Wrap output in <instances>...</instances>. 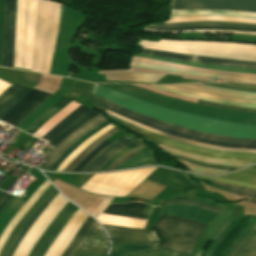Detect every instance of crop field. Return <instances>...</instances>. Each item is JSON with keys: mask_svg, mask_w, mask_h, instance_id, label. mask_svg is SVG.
Segmentation results:
<instances>
[{"mask_svg": "<svg viewBox=\"0 0 256 256\" xmlns=\"http://www.w3.org/2000/svg\"><path fill=\"white\" fill-rule=\"evenodd\" d=\"M193 177L216 180V181H221V182H226V183H231V184H235V185H241V186H246V187L256 189V186H254V185H250V184H246V183H242V182H237V181H233V180L219 179V178H206V177H199V176H195V175H193Z\"/></svg>", "mask_w": 256, "mask_h": 256, "instance_id": "44", "label": "crop field"}, {"mask_svg": "<svg viewBox=\"0 0 256 256\" xmlns=\"http://www.w3.org/2000/svg\"><path fill=\"white\" fill-rule=\"evenodd\" d=\"M132 141L133 140H131L125 136L121 137L119 140L112 143L111 145L106 147L104 150H102L81 172L96 171L110 157H112L115 153H117L120 149H122L124 146L131 143Z\"/></svg>", "mask_w": 256, "mask_h": 256, "instance_id": "21", "label": "crop field"}, {"mask_svg": "<svg viewBox=\"0 0 256 256\" xmlns=\"http://www.w3.org/2000/svg\"><path fill=\"white\" fill-rule=\"evenodd\" d=\"M205 85H208V84H205ZM209 86H213V85H209ZM213 87L223 88V89H229V90H234V91H243V92H253V93H256V92H254V91L241 90V89H233V88H227V87H219V86H213Z\"/></svg>", "mask_w": 256, "mask_h": 256, "instance_id": "46", "label": "crop field"}, {"mask_svg": "<svg viewBox=\"0 0 256 256\" xmlns=\"http://www.w3.org/2000/svg\"><path fill=\"white\" fill-rule=\"evenodd\" d=\"M88 216L89 215H87L86 213L83 212V214L80 216V218L76 221V223L71 228L68 235L63 239V241L61 242L60 246L58 247V249L56 250V252L54 253L53 256H61L62 255V253L64 252V250L66 249V247L68 246L70 241L72 240L73 236L77 232L78 228L81 226V224L86 220V218Z\"/></svg>", "mask_w": 256, "mask_h": 256, "instance_id": "33", "label": "crop field"}, {"mask_svg": "<svg viewBox=\"0 0 256 256\" xmlns=\"http://www.w3.org/2000/svg\"><path fill=\"white\" fill-rule=\"evenodd\" d=\"M96 115L98 113L81 105L55 125L43 138L49 140L50 144L58 146L68 135Z\"/></svg>", "mask_w": 256, "mask_h": 256, "instance_id": "6", "label": "crop field"}, {"mask_svg": "<svg viewBox=\"0 0 256 256\" xmlns=\"http://www.w3.org/2000/svg\"><path fill=\"white\" fill-rule=\"evenodd\" d=\"M141 142L136 140L132 142L131 144L127 145L125 148L120 150L117 154H115L112 158H110L101 168H99L97 171H106L107 168L113 164L117 159L121 158L123 155H125L127 152L135 148L137 145H139Z\"/></svg>", "mask_w": 256, "mask_h": 256, "instance_id": "39", "label": "crop field"}, {"mask_svg": "<svg viewBox=\"0 0 256 256\" xmlns=\"http://www.w3.org/2000/svg\"><path fill=\"white\" fill-rule=\"evenodd\" d=\"M27 70V69H26Z\"/></svg>", "mask_w": 256, "mask_h": 256, "instance_id": "51", "label": "crop field"}, {"mask_svg": "<svg viewBox=\"0 0 256 256\" xmlns=\"http://www.w3.org/2000/svg\"><path fill=\"white\" fill-rule=\"evenodd\" d=\"M206 227L186 219L162 216L155 228L164 239L162 246L190 253Z\"/></svg>", "mask_w": 256, "mask_h": 256, "instance_id": "3", "label": "crop field"}, {"mask_svg": "<svg viewBox=\"0 0 256 256\" xmlns=\"http://www.w3.org/2000/svg\"><path fill=\"white\" fill-rule=\"evenodd\" d=\"M67 202L59 193L25 235L13 256H28L41 234Z\"/></svg>", "mask_w": 256, "mask_h": 256, "instance_id": "5", "label": "crop field"}, {"mask_svg": "<svg viewBox=\"0 0 256 256\" xmlns=\"http://www.w3.org/2000/svg\"><path fill=\"white\" fill-rule=\"evenodd\" d=\"M7 177H8V176L5 175V176L0 180V183H1L2 181H4Z\"/></svg>", "mask_w": 256, "mask_h": 256, "instance_id": "49", "label": "crop field"}, {"mask_svg": "<svg viewBox=\"0 0 256 256\" xmlns=\"http://www.w3.org/2000/svg\"><path fill=\"white\" fill-rule=\"evenodd\" d=\"M165 187L156 183L146 180L141 184L129 198L149 199L152 200L158 193H160Z\"/></svg>", "mask_w": 256, "mask_h": 256, "instance_id": "24", "label": "crop field"}, {"mask_svg": "<svg viewBox=\"0 0 256 256\" xmlns=\"http://www.w3.org/2000/svg\"><path fill=\"white\" fill-rule=\"evenodd\" d=\"M108 245L109 242L103 229L92 226L82 245L75 251L73 256H105L108 251Z\"/></svg>", "mask_w": 256, "mask_h": 256, "instance_id": "13", "label": "crop field"}, {"mask_svg": "<svg viewBox=\"0 0 256 256\" xmlns=\"http://www.w3.org/2000/svg\"><path fill=\"white\" fill-rule=\"evenodd\" d=\"M173 9H215L256 12V0H174Z\"/></svg>", "mask_w": 256, "mask_h": 256, "instance_id": "7", "label": "crop field"}, {"mask_svg": "<svg viewBox=\"0 0 256 256\" xmlns=\"http://www.w3.org/2000/svg\"><path fill=\"white\" fill-rule=\"evenodd\" d=\"M132 61H136V62H145V63H152V64H157V65H162V66L177 67V68L188 69V70H193V71H200V72H208V73H216V74H225V75H235V76L256 78V75H247V74H237V73H229V72L205 70V69H199V68H193V67H187V66L176 65V64L167 63V62H162V61L142 59V58H138V57H134V56H133Z\"/></svg>", "mask_w": 256, "mask_h": 256, "instance_id": "29", "label": "crop field"}, {"mask_svg": "<svg viewBox=\"0 0 256 256\" xmlns=\"http://www.w3.org/2000/svg\"><path fill=\"white\" fill-rule=\"evenodd\" d=\"M142 53L159 56V57H165V58H171V59H177V60H183V61H189V62H195V63H201V64L214 65V66H224V67H234V68H244V69L256 70V63H251V62L208 59V58L184 56V55H178V54H172V53H166V52H160V51H154V50H146V49H143Z\"/></svg>", "mask_w": 256, "mask_h": 256, "instance_id": "16", "label": "crop field"}, {"mask_svg": "<svg viewBox=\"0 0 256 256\" xmlns=\"http://www.w3.org/2000/svg\"><path fill=\"white\" fill-rule=\"evenodd\" d=\"M152 208L144 203L116 204L109 205L103 213L147 219Z\"/></svg>", "mask_w": 256, "mask_h": 256, "instance_id": "18", "label": "crop field"}, {"mask_svg": "<svg viewBox=\"0 0 256 256\" xmlns=\"http://www.w3.org/2000/svg\"><path fill=\"white\" fill-rule=\"evenodd\" d=\"M198 103L199 104H203V105H208V106H214V107H220V108H227V109H232V110L256 113V109H246V108H240V107H236V106L223 105V104L207 102V101H201V100H199Z\"/></svg>", "mask_w": 256, "mask_h": 256, "instance_id": "42", "label": "crop field"}, {"mask_svg": "<svg viewBox=\"0 0 256 256\" xmlns=\"http://www.w3.org/2000/svg\"><path fill=\"white\" fill-rule=\"evenodd\" d=\"M120 123L124 124L125 126L132 129L133 131L140 134L141 136L168 147H172L175 149H179L182 151H186L189 153H193V154L205 156V157L225 158V159L241 160V161H248V162H256V154L220 152V151H214L210 149L195 147V146L177 142L168 138L161 137L157 134L135 127L123 121H121Z\"/></svg>", "mask_w": 256, "mask_h": 256, "instance_id": "4", "label": "crop field"}, {"mask_svg": "<svg viewBox=\"0 0 256 256\" xmlns=\"http://www.w3.org/2000/svg\"><path fill=\"white\" fill-rule=\"evenodd\" d=\"M136 256H189V253L165 248L156 247L143 252L138 253Z\"/></svg>", "mask_w": 256, "mask_h": 256, "instance_id": "35", "label": "crop field"}, {"mask_svg": "<svg viewBox=\"0 0 256 256\" xmlns=\"http://www.w3.org/2000/svg\"><path fill=\"white\" fill-rule=\"evenodd\" d=\"M111 122H109L108 120L99 124L98 126H96L94 129H92L91 131H89L87 134H85L83 137H81L75 144H73L68 150H66L61 156L60 158L52 165V167L49 170L52 171H56V169L61 165V163L70 155V153L76 148L78 147L83 141H85L86 139H88L89 137H91L92 135H94L95 133H97L98 131H100L101 129H103L104 127H106L108 124H110ZM77 149V148H76Z\"/></svg>", "mask_w": 256, "mask_h": 256, "instance_id": "28", "label": "crop field"}, {"mask_svg": "<svg viewBox=\"0 0 256 256\" xmlns=\"http://www.w3.org/2000/svg\"><path fill=\"white\" fill-rule=\"evenodd\" d=\"M13 198L11 195H7L4 200L0 203V212L3 210V208L10 202V200Z\"/></svg>", "mask_w": 256, "mask_h": 256, "instance_id": "45", "label": "crop field"}, {"mask_svg": "<svg viewBox=\"0 0 256 256\" xmlns=\"http://www.w3.org/2000/svg\"><path fill=\"white\" fill-rule=\"evenodd\" d=\"M146 146L142 143L139 146H137L135 149H133L131 152H129L128 154H126L125 156H123L121 159H119L117 162H115L107 171L110 170H114L115 168H117L121 163H123L125 160H127L128 158H130L131 156H133L134 154H136L137 152H139L140 150H142L143 148H145Z\"/></svg>", "mask_w": 256, "mask_h": 256, "instance_id": "43", "label": "crop field"}, {"mask_svg": "<svg viewBox=\"0 0 256 256\" xmlns=\"http://www.w3.org/2000/svg\"><path fill=\"white\" fill-rule=\"evenodd\" d=\"M173 157V156H172ZM174 158H177V159H181V160H185L183 158H179V157H174ZM187 161V160H185ZM190 162V161H189ZM194 163V162H193ZM198 164V163H196ZM198 165H202V166H207V165H203V164H198ZM208 167H213V166H208ZM213 168H217V169H222V170H228V171H232L233 169H226V168H219V167H213Z\"/></svg>", "mask_w": 256, "mask_h": 256, "instance_id": "47", "label": "crop field"}, {"mask_svg": "<svg viewBox=\"0 0 256 256\" xmlns=\"http://www.w3.org/2000/svg\"><path fill=\"white\" fill-rule=\"evenodd\" d=\"M31 88L18 85L16 83L9 86L0 95V120L2 117L15 106L29 91Z\"/></svg>", "mask_w": 256, "mask_h": 256, "instance_id": "19", "label": "crop field"}, {"mask_svg": "<svg viewBox=\"0 0 256 256\" xmlns=\"http://www.w3.org/2000/svg\"><path fill=\"white\" fill-rule=\"evenodd\" d=\"M204 25L256 28V24L231 23V22H219V21H196V22L176 23V24H167V25H151V26L180 27V26H204Z\"/></svg>", "mask_w": 256, "mask_h": 256, "instance_id": "27", "label": "crop field"}, {"mask_svg": "<svg viewBox=\"0 0 256 256\" xmlns=\"http://www.w3.org/2000/svg\"><path fill=\"white\" fill-rule=\"evenodd\" d=\"M150 248L149 246L132 245L112 242L110 256H135L136 253Z\"/></svg>", "mask_w": 256, "mask_h": 256, "instance_id": "30", "label": "crop field"}, {"mask_svg": "<svg viewBox=\"0 0 256 256\" xmlns=\"http://www.w3.org/2000/svg\"><path fill=\"white\" fill-rule=\"evenodd\" d=\"M220 178L234 179L256 185V171L241 170L228 175L220 176Z\"/></svg>", "mask_w": 256, "mask_h": 256, "instance_id": "36", "label": "crop field"}, {"mask_svg": "<svg viewBox=\"0 0 256 256\" xmlns=\"http://www.w3.org/2000/svg\"><path fill=\"white\" fill-rule=\"evenodd\" d=\"M63 5L39 0L33 57L32 71L48 73L56 35L58 31L59 10L60 17ZM60 22V20H59Z\"/></svg>", "mask_w": 256, "mask_h": 256, "instance_id": "2", "label": "crop field"}, {"mask_svg": "<svg viewBox=\"0 0 256 256\" xmlns=\"http://www.w3.org/2000/svg\"><path fill=\"white\" fill-rule=\"evenodd\" d=\"M103 103H105L106 105L120 111V112H124L130 115H133L135 117L141 118L145 121H148L152 124L161 126L163 128H168V129H172V130H176L185 134H189L195 137H201V138H207V139H212V140H216V141H220V142H231V143H241V144H252V145H256V140L253 139H235V138H230V137H224V136H216V135H211V134H206V133H202V132H198V131H194L191 129H187L184 127H180V126H176V125H172V124H167V123H163L161 121L149 118L147 116L141 115L139 113L133 112L131 110L125 109L123 107L117 106L105 99L102 98Z\"/></svg>", "mask_w": 256, "mask_h": 256, "instance_id": "9", "label": "crop field"}, {"mask_svg": "<svg viewBox=\"0 0 256 256\" xmlns=\"http://www.w3.org/2000/svg\"><path fill=\"white\" fill-rule=\"evenodd\" d=\"M51 94L32 89L15 107L2 119L13 126H17L28 114L38 107Z\"/></svg>", "mask_w": 256, "mask_h": 256, "instance_id": "12", "label": "crop field"}, {"mask_svg": "<svg viewBox=\"0 0 256 256\" xmlns=\"http://www.w3.org/2000/svg\"><path fill=\"white\" fill-rule=\"evenodd\" d=\"M107 120L101 113L92 118L86 124H84L81 128H79L75 133L71 136L67 137L56 149H54L49 155L46 162L43 166L50 168V166L58 159V157L68 149L75 141H77L81 136L91 130L93 127L98 125L99 123Z\"/></svg>", "mask_w": 256, "mask_h": 256, "instance_id": "17", "label": "crop field"}, {"mask_svg": "<svg viewBox=\"0 0 256 256\" xmlns=\"http://www.w3.org/2000/svg\"><path fill=\"white\" fill-rule=\"evenodd\" d=\"M103 226L108 231L112 241L149 246H156L160 243L155 231L106 225Z\"/></svg>", "mask_w": 256, "mask_h": 256, "instance_id": "10", "label": "crop field"}, {"mask_svg": "<svg viewBox=\"0 0 256 256\" xmlns=\"http://www.w3.org/2000/svg\"><path fill=\"white\" fill-rule=\"evenodd\" d=\"M105 108L107 110H110V111H113L117 114H120L122 116H125L135 122H138L140 124H143V125H146L148 127H151L153 129H156V130H160V131H163L167 134H170V135H173V136H176V137H180V138H184V139H188V140H192V141H197V142H202V143H206V144H212V145H219V146H223V147H232V148H243V149H255L256 150V146H247V145H237V144H229V143H220V142H216V141H211V140H206V139H200V138H195V137H190V136H187V135H184V134H181V133H178V132H174V131H170V130H166V129H163L161 127H158V126H155V125H152L150 123H147L143 120H140L138 118H135V117H132L130 115H127V114H123V113H120L106 105H104Z\"/></svg>", "mask_w": 256, "mask_h": 256, "instance_id": "20", "label": "crop field"}, {"mask_svg": "<svg viewBox=\"0 0 256 256\" xmlns=\"http://www.w3.org/2000/svg\"><path fill=\"white\" fill-rule=\"evenodd\" d=\"M161 215L178 216L196 222L209 225L217 216L213 212L205 209L186 206V205H167L161 207Z\"/></svg>", "mask_w": 256, "mask_h": 256, "instance_id": "15", "label": "crop field"}, {"mask_svg": "<svg viewBox=\"0 0 256 256\" xmlns=\"http://www.w3.org/2000/svg\"><path fill=\"white\" fill-rule=\"evenodd\" d=\"M117 130L114 128L111 131L107 132L99 139L90 144L87 148H85L69 165L64 171H71L84 157H86L100 142L106 140L111 135H113Z\"/></svg>", "mask_w": 256, "mask_h": 256, "instance_id": "32", "label": "crop field"}, {"mask_svg": "<svg viewBox=\"0 0 256 256\" xmlns=\"http://www.w3.org/2000/svg\"><path fill=\"white\" fill-rule=\"evenodd\" d=\"M78 209L79 208L68 202L42 234L29 256H44L51 243Z\"/></svg>", "mask_w": 256, "mask_h": 256, "instance_id": "8", "label": "crop field"}, {"mask_svg": "<svg viewBox=\"0 0 256 256\" xmlns=\"http://www.w3.org/2000/svg\"><path fill=\"white\" fill-rule=\"evenodd\" d=\"M148 180L165 185L169 188L180 191L184 194H190L194 190H196L198 187H200L197 184L191 182L187 177L186 173L168 170V169H162V168H159L156 172H154L148 178ZM200 189L202 188L201 187L198 188L191 195L195 194Z\"/></svg>", "mask_w": 256, "mask_h": 256, "instance_id": "11", "label": "crop field"}, {"mask_svg": "<svg viewBox=\"0 0 256 256\" xmlns=\"http://www.w3.org/2000/svg\"><path fill=\"white\" fill-rule=\"evenodd\" d=\"M137 56L138 57H144V58H150V59H156V60H162V61H167V62H173V63H178V64L209 68V69H214V70H223V71H232V72H238V73L256 74V71H252V70L223 68V67H214V66L193 64V63H187V62H181V61H175V60H170V59H165V58L154 57V56H150V55H146V54H138Z\"/></svg>", "mask_w": 256, "mask_h": 256, "instance_id": "31", "label": "crop field"}, {"mask_svg": "<svg viewBox=\"0 0 256 256\" xmlns=\"http://www.w3.org/2000/svg\"><path fill=\"white\" fill-rule=\"evenodd\" d=\"M144 29L153 30V31H178V30H191V29H210V30H230V31L256 32V29L217 27V26L180 27V28H149V27H146Z\"/></svg>", "mask_w": 256, "mask_h": 256, "instance_id": "34", "label": "crop field"}, {"mask_svg": "<svg viewBox=\"0 0 256 256\" xmlns=\"http://www.w3.org/2000/svg\"><path fill=\"white\" fill-rule=\"evenodd\" d=\"M59 192L54 188L52 193L46 198V200L38 207V209L33 213V215L28 219V221L25 223L22 230L19 232V234L16 236L11 248L9 249L6 256H12L18 247L19 243L21 242L24 235L27 233V231L30 229V227L33 225V223L36 221V219L39 217L41 212L46 208V206L55 198V196Z\"/></svg>", "mask_w": 256, "mask_h": 256, "instance_id": "23", "label": "crop field"}, {"mask_svg": "<svg viewBox=\"0 0 256 256\" xmlns=\"http://www.w3.org/2000/svg\"><path fill=\"white\" fill-rule=\"evenodd\" d=\"M83 211L80 209L77 211V213L72 217V219L68 222V224L65 226L63 231L60 233V235L55 239V241L52 243L51 247L47 251L45 256H52L55 250L57 249L58 245L62 241V239L67 235L68 231L70 230L71 226L74 224V222L78 219V217L81 215Z\"/></svg>", "mask_w": 256, "mask_h": 256, "instance_id": "37", "label": "crop field"}, {"mask_svg": "<svg viewBox=\"0 0 256 256\" xmlns=\"http://www.w3.org/2000/svg\"><path fill=\"white\" fill-rule=\"evenodd\" d=\"M93 93L103 98H106L115 104L134 110L149 117L166 121L168 123L212 134H220L235 138L256 139V126L233 124L224 121L169 110L121 94L119 92H116L114 90L108 89L97 84L95 85Z\"/></svg>", "mask_w": 256, "mask_h": 256, "instance_id": "1", "label": "crop field"}, {"mask_svg": "<svg viewBox=\"0 0 256 256\" xmlns=\"http://www.w3.org/2000/svg\"><path fill=\"white\" fill-rule=\"evenodd\" d=\"M94 220L89 216L88 219L83 223V225L79 228L78 232L74 236L68 248L65 250L62 256H72L74 251L80 246L83 239L85 238L87 232L94 224Z\"/></svg>", "mask_w": 256, "mask_h": 256, "instance_id": "25", "label": "crop field"}, {"mask_svg": "<svg viewBox=\"0 0 256 256\" xmlns=\"http://www.w3.org/2000/svg\"><path fill=\"white\" fill-rule=\"evenodd\" d=\"M211 182L223 187L224 189H226L230 192H234V193L244 195V196H247V197H251V198H256V191H254V190L247 189V188H244V187H241V186H234V185H231V184H223V183L214 182V181H211Z\"/></svg>", "mask_w": 256, "mask_h": 256, "instance_id": "38", "label": "crop field"}, {"mask_svg": "<svg viewBox=\"0 0 256 256\" xmlns=\"http://www.w3.org/2000/svg\"><path fill=\"white\" fill-rule=\"evenodd\" d=\"M7 195V193H5V192H1L0 193V202H1V200L5 197Z\"/></svg>", "mask_w": 256, "mask_h": 256, "instance_id": "48", "label": "crop field"}, {"mask_svg": "<svg viewBox=\"0 0 256 256\" xmlns=\"http://www.w3.org/2000/svg\"><path fill=\"white\" fill-rule=\"evenodd\" d=\"M153 161H155V159L151 151L149 150V148L146 147L145 149L140 151L138 154L130 158L128 161L123 163L121 166H119L117 169L146 166L151 164Z\"/></svg>", "mask_w": 256, "mask_h": 256, "instance_id": "26", "label": "crop field"}, {"mask_svg": "<svg viewBox=\"0 0 256 256\" xmlns=\"http://www.w3.org/2000/svg\"><path fill=\"white\" fill-rule=\"evenodd\" d=\"M110 142L107 140L100 143L81 163H79L72 171L80 172L85 165L93 158L95 157L103 148H105L107 145H109Z\"/></svg>", "mask_w": 256, "mask_h": 256, "instance_id": "40", "label": "crop field"}, {"mask_svg": "<svg viewBox=\"0 0 256 256\" xmlns=\"http://www.w3.org/2000/svg\"><path fill=\"white\" fill-rule=\"evenodd\" d=\"M78 96V94L68 92L58 103L44 112L31 126H29L26 129V132L33 135L48 119H50Z\"/></svg>", "mask_w": 256, "mask_h": 256, "instance_id": "22", "label": "crop field"}, {"mask_svg": "<svg viewBox=\"0 0 256 256\" xmlns=\"http://www.w3.org/2000/svg\"><path fill=\"white\" fill-rule=\"evenodd\" d=\"M167 204H186V205L205 208V209H208L210 211L216 212L218 214H220V212L223 210V209H219V208H216V207H213V206H209V205L199 203V202H195V201H191V200H177V201L165 202V203L162 204V206L167 205Z\"/></svg>", "mask_w": 256, "mask_h": 256, "instance_id": "41", "label": "crop field"}, {"mask_svg": "<svg viewBox=\"0 0 256 256\" xmlns=\"http://www.w3.org/2000/svg\"><path fill=\"white\" fill-rule=\"evenodd\" d=\"M250 168H255L256 169V166H253V167H250Z\"/></svg>", "mask_w": 256, "mask_h": 256, "instance_id": "50", "label": "crop field"}, {"mask_svg": "<svg viewBox=\"0 0 256 256\" xmlns=\"http://www.w3.org/2000/svg\"><path fill=\"white\" fill-rule=\"evenodd\" d=\"M17 0H7L3 66L13 67Z\"/></svg>", "mask_w": 256, "mask_h": 256, "instance_id": "14", "label": "crop field"}]
</instances>
